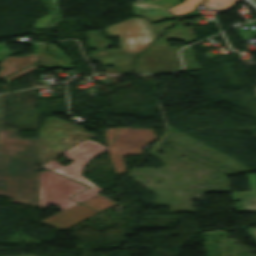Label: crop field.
<instances>
[{"label":"crop field","mask_w":256,"mask_h":256,"mask_svg":"<svg viewBox=\"0 0 256 256\" xmlns=\"http://www.w3.org/2000/svg\"><path fill=\"white\" fill-rule=\"evenodd\" d=\"M177 21L174 27L167 29L163 35L164 29L173 25L175 21L151 25L156 37L163 35L137 59L133 73H162L173 72L181 68L177 47L169 46L165 41L167 39H180L187 43L196 41L192 28H183L182 23Z\"/></svg>","instance_id":"crop-field-1"},{"label":"crop field","mask_w":256,"mask_h":256,"mask_svg":"<svg viewBox=\"0 0 256 256\" xmlns=\"http://www.w3.org/2000/svg\"><path fill=\"white\" fill-rule=\"evenodd\" d=\"M0 196L39 207L37 162L0 156Z\"/></svg>","instance_id":"crop-field-2"},{"label":"crop field","mask_w":256,"mask_h":256,"mask_svg":"<svg viewBox=\"0 0 256 256\" xmlns=\"http://www.w3.org/2000/svg\"><path fill=\"white\" fill-rule=\"evenodd\" d=\"M104 150H106V147L87 139L83 143L62 153L68 158L74 160L69 165L65 167L58 165L54 160L58 158L60 156L59 155L41 166L89 185V189L71 197L72 199L81 202L103 191L83 177L81 172L85 163Z\"/></svg>","instance_id":"crop-field-3"},{"label":"crop field","mask_w":256,"mask_h":256,"mask_svg":"<svg viewBox=\"0 0 256 256\" xmlns=\"http://www.w3.org/2000/svg\"><path fill=\"white\" fill-rule=\"evenodd\" d=\"M116 130L107 129L105 136L111 163L115 167L116 174H118L126 172L122 154L142 155L141 147L157 138L153 134V129L123 128L119 130L112 147H110L109 144Z\"/></svg>","instance_id":"crop-field-4"},{"label":"crop field","mask_w":256,"mask_h":256,"mask_svg":"<svg viewBox=\"0 0 256 256\" xmlns=\"http://www.w3.org/2000/svg\"><path fill=\"white\" fill-rule=\"evenodd\" d=\"M86 188L66 177L48 170L39 173V201L40 208L48 204H55L58 210H64L77 202L67 197Z\"/></svg>","instance_id":"crop-field-5"},{"label":"crop field","mask_w":256,"mask_h":256,"mask_svg":"<svg viewBox=\"0 0 256 256\" xmlns=\"http://www.w3.org/2000/svg\"><path fill=\"white\" fill-rule=\"evenodd\" d=\"M105 32L111 37L120 36V47L125 52H141L156 39L148 21L138 17L113 24Z\"/></svg>","instance_id":"crop-field-6"},{"label":"crop field","mask_w":256,"mask_h":256,"mask_svg":"<svg viewBox=\"0 0 256 256\" xmlns=\"http://www.w3.org/2000/svg\"><path fill=\"white\" fill-rule=\"evenodd\" d=\"M81 203L99 212L116 204V202L111 201L100 194ZM96 213L97 212L78 203L43 220L42 222L62 231Z\"/></svg>","instance_id":"crop-field-7"},{"label":"crop field","mask_w":256,"mask_h":256,"mask_svg":"<svg viewBox=\"0 0 256 256\" xmlns=\"http://www.w3.org/2000/svg\"><path fill=\"white\" fill-rule=\"evenodd\" d=\"M0 155L38 160L37 139L19 140L18 130H0Z\"/></svg>","instance_id":"crop-field-8"},{"label":"crop field","mask_w":256,"mask_h":256,"mask_svg":"<svg viewBox=\"0 0 256 256\" xmlns=\"http://www.w3.org/2000/svg\"><path fill=\"white\" fill-rule=\"evenodd\" d=\"M134 13L137 16L145 17L151 23L159 22L163 19L175 18L167 9L179 4L178 0H156L148 2L131 3Z\"/></svg>","instance_id":"crop-field-9"},{"label":"crop field","mask_w":256,"mask_h":256,"mask_svg":"<svg viewBox=\"0 0 256 256\" xmlns=\"http://www.w3.org/2000/svg\"><path fill=\"white\" fill-rule=\"evenodd\" d=\"M250 185L249 192H232L233 200H240L234 203L236 211L256 212V175L248 174Z\"/></svg>","instance_id":"crop-field-10"},{"label":"crop field","mask_w":256,"mask_h":256,"mask_svg":"<svg viewBox=\"0 0 256 256\" xmlns=\"http://www.w3.org/2000/svg\"><path fill=\"white\" fill-rule=\"evenodd\" d=\"M203 0H185L183 3L174 6L169 9L170 12L179 16L181 14H185L196 8V5L199 4ZM235 1L240 0H206L203 5L215 8L217 10H223L230 7Z\"/></svg>","instance_id":"crop-field-11"},{"label":"crop field","mask_w":256,"mask_h":256,"mask_svg":"<svg viewBox=\"0 0 256 256\" xmlns=\"http://www.w3.org/2000/svg\"><path fill=\"white\" fill-rule=\"evenodd\" d=\"M36 62V53L32 55H27L21 59L15 58L14 56H9L2 60L0 67H3L0 70V77L5 76L9 73H12L16 70H19L31 63Z\"/></svg>","instance_id":"crop-field-12"},{"label":"crop field","mask_w":256,"mask_h":256,"mask_svg":"<svg viewBox=\"0 0 256 256\" xmlns=\"http://www.w3.org/2000/svg\"><path fill=\"white\" fill-rule=\"evenodd\" d=\"M48 4L51 8H54L56 13H57V18L49 25L47 24L53 17H54V12L51 9H48L45 0H43L44 4L46 5L47 9L49 10L50 14L41 17L39 19H37L34 23V28H43L46 24L49 25L47 28L49 27H55L60 21H61V17H60V13H59V9H58V5L57 2H59L60 0H47Z\"/></svg>","instance_id":"crop-field-13"},{"label":"crop field","mask_w":256,"mask_h":256,"mask_svg":"<svg viewBox=\"0 0 256 256\" xmlns=\"http://www.w3.org/2000/svg\"><path fill=\"white\" fill-rule=\"evenodd\" d=\"M35 68H36V64L33 65V66H30V67H28V68H26V69H24V70H22V71H20V72H18V73H15V74H13V75H10V76L6 77V78L3 79V80H4L6 83L9 84L13 79H15V78H17V77H19V76H21V75H23V74H25V73L31 71V70H33V69H35Z\"/></svg>","instance_id":"crop-field-14"},{"label":"crop field","mask_w":256,"mask_h":256,"mask_svg":"<svg viewBox=\"0 0 256 256\" xmlns=\"http://www.w3.org/2000/svg\"><path fill=\"white\" fill-rule=\"evenodd\" d=\"M248 232L251 234V236L256 240V229H250Z\"/></svg>","instance_id":"crop-field-15"}]
</instances>
